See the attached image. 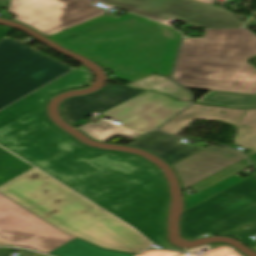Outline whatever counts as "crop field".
<instances>
[{"label": "crop field", "mask_w": 256, "mask_h": 256, "mask_svg": "<svg viewBox=\"0 0 256 256\" xmlns=\"http://www.w3.org/2000/svg\"><path fill=\"white\" fill-rule=\"evenodd\" d=\"M83 66L0 112V145L136 227L165 241L167 192L162 174L144 159L88 148L51 124L44 106L54 94L89 84ZM181 251V250H180Z\"/></svg>", "instance_id": "obj_1"}, {"label": "crop field", "mask_w": 256, "mask_h": 256, "mask_svg": "<svg viewBox=\"0 0 256 256\" xmlns=\"http://www.w3.org/2000/svg\"><path fill=\"white\" fill-rule=\"evenodd\" d=\"M181 34L170 26L128 13L107 15L49 37L133 81L151 73L170 76Z\"/></svg>", "instance_id": "obj_2"}, {"label": "crop field", "mask_w": 256, "mask_h": 256, "mask_svg": "<svg viewBox=\"0 0 256 256\" xmlns=\"http://www.w3.org/2000/svg\"><path fill=\"white\" fill-rule=\"evenodd\" d=\"M0 192L60 230L103 248L139 253L150 246L132 228L35 168Z\"/></svg>", "instance_id": "obj_3"}, {"label": "crop field", "mask_w": 256, "mask_h": 256, "mask_svg": "<svg viewBox=\"0 0 256 256\" xmlns=\"http://www.w3.org/2000/svg\"><path fill=\"white\" fill-rule=\"evenodd\" d=\"M256 34L248 29L208 30L204 38H185L174 80L184 87L256 93Z\"/></svg>", "instance_id": "obj_4"}, {"label": "crop field", "mask_w": 256, "mask_h": 256, "mask_svg": "<svg viewBox=\"0 0 256 256\" xmlns=\"http://www.w3.org/2000/svg\"><path fill=\"white\" fill-rule=\"evenodd\" d=\"M182 230L188 240L208 233L255 246L249 236L256 233V175L185 211Z\"/></svg>", "instance_id": "obj_5"}, {"label": "crop field", "mask_w": 256, "mask_h": 256, "mask_svg": "<svg viewBox=\"0 0 256 256\" xmlns=\"http://www.w3.org/2000/svg\"><path fill=\"white\" fill-rule=\"evenodd\" d=\"M71 69L6 37L0 42V109Z\"/></svg>", "instance_id": "obj_6"}, {"label": "crop field", "mask_w": 256, "mask_h": 256, "mask_svg": "<svg viewBox=\"0 0 256 256\" xmlns=\"http://www.w3.org/2000/svg\"><path fill=\"white\" fill-rule=\"evenodd\" d=\"M8 13L49 37L106 14L88 0H11Z\"/></svg>", "instance_id": "obj_7"}, {"label": "crop field", "mask_w": 256, "mask_h": 256, "mask_svg": "<svg viewBox=\"0 0 256 256\" xmlns=\"http://www.w3.org/2000/svg\"><path fill=\"white\" fill-rule=\"evenodd\" d=\"M115 6L161 22L170 18L201 28L239 27L231 12L194 0H91Z\"/></svg>", "instance_id": "obj_8"}, {"label": "crop field", "mask_w": 256, "mask_h": 256, "mask_svg": "<svg viewBox=\"0 0 256 256\" xmlns=\"http://www.w3.org/2000/svg\"><path fill=\"white\" fill-rule=\"evenodd\" d=\"M73 238L0 194V246H23L47 253Z\"/></svg>", "instance_id": "obj_9"}, {"label": "crop field", "mask_w": 256, "mask_h": 256, "mask_svg": "<svg viewBox=\"0 0 256 256\" xmlns=\"http://www.w3.org/2000/svg\"><path fill=\"white\" fill-rule=\"evenodd\" d=\"M188 104L167 95L147 92L102 115L123 123L121 126L128 129L145 132L156 129Z\"/></svg>", "instance_id": "obj_10"}, {"label": "crop field", "mask_w": 256, "mask_h": 256, "mask_svg": "<svg viewBox=\"0 0 256 256\" xmlns=\"http://www.w3.org/2000/svg\"><path fill=\"white\" fill-rule=\"evenodd\" d=\"M211 146V145H210ZM209 150L208 152H206ZM245 159L227 148L211 146L173 165L183 189Z\"/></svg>", "instance_id": "obj_11"}, {"label": "crop field", "mask_w": 256, "mask_h": 256, "mask_svg": "<svg viewBox=\"0 0 256 256\" xmlns=\"http://www.w3.org/2000/svg\"><path fill=\"white\" fill-rule=\"evenodd\" d=\"M143 91L130 89L120 85L108 84L107 87L90 96L79 98H70L62 103L64 111L62 115L64 119L72 124H83L88 121L82 119L91 112L97 110L103 112L111 107H114Z\"/></svg>", "instance_id": "obj_12"}, {"label": "crop field", "mask_w": 256, "mask_h": 256, "mask_svg": "<svg viewBox=\"0 0 256 256\" xmlns=\"http://www.w3.org/2000/svg\"><path fill=\"white\" fill-rule=\"evenodd\" d=\"M179 140L181 139L152 130L136 138V141L129 145L147 149L171 165L203 149L178 142Z\"/></svg>", "instance_id": "obj_13"}, {"label": "crop field", "mask_w": 256, "mask_h": 256, "mask_svg": "<svg viewBox=\"0 0 256 256\" xmlns=\"http://www.w3.org/2000/svg\"><path fill=\"white\" fill-rule=\"evenodd\" d=\"M246 109L236 110L193 103L160 130L176 135L194 120H221L236 126Z\"/></svg>", "instance_id": "obj_14"}, {"label": "crop field", "mask_w": 256, "mask_h": 256, "mask_svg": "<svg viewBox=\"0 0 256 256\" xmlns=\"http://www.w3.org/2000/svg\"><path fill=\"white\" fill-rule=\"evenodd\" d=\"M127 86L142 90H154L181 101L191 100L190 95L184 89L170 81L169 78L158 75H152Z\"/></svg>", "instance_id": "obj_15"}, {"label": "crop field", "mask_w": 256, "mask_h": 256, "mask_svg": "<svg viewBox=\"0 0 256 256\" xmlns=\"http://www.w3.org/2000/svg\"><path fill=\"white\" fill-rule=\"evenodd\" d=\"M53 256H133L134 254L109 251L75 238L48 253Z\"/></svg>", "instance_id": "obj_16"}, {"label": "crop field", "mask_w": 256, "mask_h": 256, "mask_svg": "<svg viewBox=\"0 0 256 256\" xmlns=\"http://www.w3.org/2000/svg\"><path fill=\"white\" fill-rule=\"evenodd\" d=\"M198 102L231 106V107H256V94H238V93H227L211 91Z\"/></svg>", "instance_id": "obj_17"}, {"label": "crop field", "mask_w": 256, "mask_h": 256, "mask_svg": "<svg viewBox=\"0 0 256 256\" xmlns=\"http://www.w3.org/2000/svg\"><path fill=\"white\" fill-rule=\"evenodd\" d=\"M241 125L246 127L241 128ZM234 141L246 149L253 150L247 154L248 157L256 153V109H248L238 126Z\"/></svg>", "instance_id": "obj_18"}, {"label": "crop field", "mask_w": 256, "mask_h": 256, "mask_svg": "<svg viewBox=\"0 0 256 256\" xmlns=\"http://www.w3.org/2000/svg\"><path fill=\"white\" fill-rule=\"evenodd\" d=\"M80 129H82L85 133L94 137L95 139L101 140L103 142L109 140L110 138L116 135L129 138V139H133L141 135V134L117 127L115 125L109 124L103 120L95 124L89 122Z\"/></svg>", "instance_id": "obj_19"}, {"label": "crop field", "mask_w": 256, "mask_h": 256, "mask_svg": "<svg viewBox=\"0 0 256 256\" xmlns=\"http://www.w3.org/2000/svg\"><path fill=\"white\" fill-rule=\"evenodd\" d=\"M32 168L0 147V186Z\"/></svg>", "instance_id": "obj_20"}, {"label": "crop field", "mask_w": 256, "mask_h": 256, "mask_svg": "<svg viewBox=\"0 0 256 256\" xmlns=\"http://www.w3.org/2000/svg\"><path fill=\"white\" fill-rule=\"evenodd\" d=\"M243 180L244 179L234 175L218 183L217 185L203 191L202 193L186 200V210Z\"/></svg>", "instance_id": "obj_21"}, {"label": "crop field", "mask_w": 256, "mask_h": 256, "mask_svg": "<svg viewBox=\"0 0 256 256\" xmlns=\"http://www.w3.org/2000/svg\"><path fill=\"white\" fill-rule=\"evenodd\" d=\"M246 164H248V163L245 160H243V161H241V162H239V163H237V164H235V165H233V166H231V167H229V168H227V169H225V170H223V171H221V172H219V173H217V174H215V175H213V176H211V177H209V178H207V179H205V180H203V181H201V182H199V183H197V184H195V185H193L191 187L193 189L198 190L201 187H203V186H205V185H207V184H209V183H211V182H213V181H215V180H217V179H219V178H221V177H223V176L233 172L234 170H236V169H238V168H240V167H242V166H244Z\"/></svg>", "instance_id": "obj_22"}, {"label": "crop field", "mask_w": 256, "mask_h": 256, "mask_svg": "<svg viewBox=\"0 0 256 256\" xmlns=\"http://www.w3.org/2000/svg\"><path fill=\"white\" fill-rule=\"evenodd\" d=\"M213 249L202 256H242L234 248L224 244H210Z\"/></svg>", "instance_id": "obj_23"}, {"label": "crop field", "mask_w": 256, "mask_h": 256, "mask_svg": "<svg viewBox=\"0 0 256 256\" xmlns=\"http://www.w3.org/2000/svg\"><path fill=\"white\" fill-rule=\"evenodd\" d=\"M181 253L171 251H148L140 256H177Z\"/></svg>", "instance_id": "obj_24"}, {"label": "crop field", "mask_w": 256, "mask_h": 256, "mask_svg": "<svg viewBox=\"0 0 256 256\" xmlns=\"http://www.w3.org/2000/svg\"><path fill=\"white\" fill-rule=\"evenodd\" d=\"M212 248L209 246V245H205V246H201V247H198V248H194V249H191L187 252H190V253H193L195 255H202L204 254L205 252L211 250Z\"/></svg>", "instance_id": "obj_25"}, {"label": "crop field", "mask_w": 256, "mask_h": 256, "mask_svg": "<svg viewBox=\"0 0 256 256\" xmlns=\"http://www.w3.org/2000/svg\"><path fill=\"white\" fill-rule=\"evenodd\" d=\"M11 30H12V28L0 26V41L3 38H5L10 33Z\"/></svg>", "instance_id": "obj_26"}, {"label": "crop field", "mask_w": 256, "mask_h": 256, "mask_svg": "<svg viewBox=\"0 0 256 256\" xmlns=\"http://www.w3.org/2000/svg\"><path fill=\"white\" fill-rule=\"evenodd\" d=\"M249 159H250V162L256 167V154L249 157Z\"/></svg>", "instance_id": "obj_27"}, {"label": "crop field", "mask_w": 256, "mask_h": 256, "mask_svg": "<svg viewBox=\"0 0 256 256\" xmlns=\"http://www.w3.org/2000/svg\"><path fill=\"white\" fill-rule=\"evenodd\" d=\"M240 171H241V170H240ZM238 172H239V171H238ZM236 173H237V172H236ZM234 174H235V173H234ZM234 174H232V175H234ZM232 175H230V176H232ZM230 176H228V177H230ZM228 177H226V178H228ZM226 178H224V179H226ZM224 179H222V180H224ZM222 180H220V181H222ZM220 181H218V182H220ZM218 182H216L215 184H217ZM215 184H213V185H215ZM213 185H211V186H213ZM211 186H209V187H211ZM209 187H207V188H209ZM207 188H205V189H207ZM205 189H203V190H205ZM203 190L197 192L196 194L202 192ZM196 194H194V195H196ZM194 195H192V196H194ZM192 196H190V197H192ZM190 197H188V198H190ZM188 198H186V199H188Z\"/></svg>", "instance_id": "obj_28"}, {"label": "crop field", "mask_w": 256, "mask_h": 256, "mask_svg": "<svg viewBox=\"0 0 256 256\" xmlns=\"http://www.w3.org/2000/svg\"><path fill=\"white\" fill-rule=\"evenodd\" d=\"M206 4L214 5V0H197Z\"/></svg>", "instance_id": "obj_29"}, {"label": "crop field", "mask_w": 256, "mask_h": 256, "mask_svg": "<svg viewBox=\"0 0 256 256\" xmlns=\"http://www.w3.org/2000/svg\"><path fill=\"white\" fill-rule=\"evenodd\" d=\"M31 256H44V255L33 252Z\"/></svg>", "instance_id": "obj_30"}, {"label": "crop field", "mask_w": 256, "mask_h": 256, "mask_svg": "<svg viewBox=\"0 0 256 256\" xmlns=\"http://www.w3.org/2000/svg\"><path fill=\"white\" fill-rule=\"evenodd\" d=\"M181 256H185V255H181ZM191 256H193V255H191Z\"/></svg>", "instance_id": "obj_31"}]
</instances>
